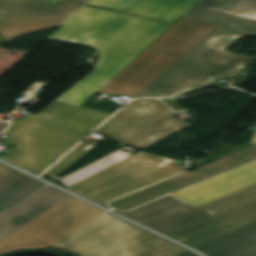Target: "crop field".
Segmentation results:
<instances>
[{
	"label": "crop field",
	"instance_id": "crop-field-1",
	"mask_svg": "<svg viewBox=\"0 0 256 256\" xmlns=\"http://www.w3.org/2000/svg\"><path fill=\"white\" fill-rule=\"evenodd\" d=\"M171 24L85 6L49 36L100 49L94 72L41 111L14 120L0 139L17 145L0 159L43 173L111 114L81 107Z\"/></svg>",
	"mask_w": 256,
	"mask_h": 256
},
{
	"label": "crop field",
	"instance_id": "crop-field-2",
	"mask_svg": "<svg viewBox=\"0 0 256 256\" xmlns=\"http://www.w3.org/2000/svg\"><path fill=\"white\" fill-rule=\"evenodd\" d=\"M23 174L0 192V254L49 246L81 256H173L186 251Z\"/></svg>",
	"mask_w": 256,
	"mask_h": 256
},
{
	"label": "crop field",
	"instance_id": "crop-field-3",
	"mask_svg": "<svg viewBox=\"0 0 256 256\" xmlns=\"http://www.w3.org/2000/svg\"><path fill=\"white\" fill-rule=\"evenodd\" d=\"M184 17L220 25L134 98L175 97L233 77L253 58L227 52L237 37L256 36V0H201Z\"/></svg>",
	"mask_w": 256,
	"mask_h": 256
},
{
	"label": "crop field",
	"instance_id": "crop-field-4",
	"mask_svg": "<svg viewBox=\"0 0 256 256\" xmlns=\"http://www.w3.org/2000/svg\"><path fill=\"white\" fill-rule=\"evenodd\" d=\"M165 160L141 151L67 189L102 204L186 170Z\"/></svg>",
	"mask_w": 256,
	"mask_h": 256
},
{
	"label": "crop field",
	"instance_id": "crop-field-5",
	"mask_svg": "<svg viewBox=\"0 0 256 256\" xmlns=\"http://www.w3.org/2000/svg\"><path fill=\"white\" fill-rule=\"evenodd\" d=\"M157 99L131 101L95 132L143 150L173 132L190 126Z\"/></svg>",
	"mask_w": 256,
	"mask_h": 256
},
{
	"label": "crop field",
	"instance_id": "crop-field-6",
	"mask_svg": "<svg viewBox=\"0 0 256 256\" xmlns=\"http://www.w3.org/2000/svg\"><path fill=\"white\" fill-rule=\"evenodd\" d=\"M197 209L211 216L166 235L195 247L256 221V183Z\"/></svg>",
	"mask_w": 256,
	"mask_h": 256
},
{
	"label": "crop field",
	"instance_id": "crop-field-7",
	"mask_svg": "<svg viewBox=\"0 0 256 256\" xmlns=\"http://www.w3.org/2000/svg\"><path fill=\"white\" fill-rule=\"evenodd\" d=\"M255 159L256 144L221 159L199 166L197 167V171L186 172L179 176L134 192L110 203L109 205L119 210H128Z\"/></svg>",
	"mask_w": 256,
	"mask_h": 256
},
{
	"label": "crop field",
	"instance_id": "crop-field-8",
	"mask_svg": "<svg viewBox=\"0 0 256 256\" xmlns=\"http://www.w3.org/2000/svg\"><path fill=\"white\" fill-rule=\"evenodd\" d=\"M122 215L163 234L209 216L171 195Z\"/></svg>",
	"mask_w": 256,
	"mask_h": 256
},
{
	"label": "crop field",
	"instance_id": "crop-field-9",
	"mask_svg": "<svg viewBox=\"0 0 256 256\" xmlns=\"http://www.w3.org/2000/svg\"><path fill=\"white\" fill-rule=\"evenodd\" d=\"M180 58V56L146 49L100 92L120 93L134 97ZM142 61L146 62L142 63Z\"/></svg>",
	"mask_w": 256,
	"mask_h": 256
},
{
	"label": "crop field",
	"instance_id": "crop-field-10",
	"mask_svg": "<svg viewBox=\"0 0 256 256\" xmlns=\"http://www.w3.org/2000/svg\"><path fill=\"white\" fill-rule=\"evenodd\" d=\"M255 182L256 162H253L172 195L198 207Z\"/></svg>",
	"mask_w": 256,
	"mask_h": 256
},
{
	"label": "crop field",
	"instance_id": "crop-field-11",
	"mask_svg": "<svg viewBox=\"0 0 256 256\" xmlns=\"http://www.w3.org/2000/svg\"><path fill=\"white\" fill-rule=\"evenodd\" d=\"M217 27L182 18L149 48L184 55Z\"/></svg>",
	"mask_w": 256,
	"mask_h": 256
},
{
	"label": "crop field",
	"instance_id": "crop-field-12",
	"mask_svg": "<svg viewBox=\"0 0 256 256\" xmlns=\"http://www.w3.org/2000/svg\"><path fill=\"white\" fill-rule=\"evenodd\" d=\"M82 5L66 0L21 21L0 29V35L5 39L11 38L59 25L76 12Z\"/></svg>",
	"mask_w": 256,
	"mask_h": 256
},
{
	"label": "crop field",
	"instance_id": "crop-field-13",
	"mask_svg": "<svg viewBox=\"0 0 256 256\" xmlns=\"http://www.w3.org/2000/svg\"><path fill=\"white\" fill-rule=\"evenodd\" d=\"M256 243V222L219 236L195 247L210 256H256V245L229 255L228 253Z\"/></svg>",
	"mask_w": 256,
	"mask_h": 256
},
{
	"label": "crop field",
	"instance_id": "crop-field-14",
	"mask_svg": "<svg viewBox=\"0 0 256 256\" xmlns=\"http://www.w3.org/2000/svg\"><path fill=\"white\" fill-rule=\"evenodd\" d=\"M200 0H138L125 13L173 23Z\"/></svg>",
	"mask_w": 256,
	"mask_h": 256
},
{
	"label": "crop field",
	"instance_id": "crop-field-15",
	"mask_svg": "<svg viewBox=\"0 0 256 256\" xmlns=\"http://www.w3.org/2000/svg\"><path fill=\"white\" fill-rule=\"evenodd\" d=\"M50 6L37 0H24L4 5L0 7V20L8 25Z\"/></svg>",
	"mask_w": 256,
	"mask_h": 256
},
{
	"label": "crop field",
	"instance_id": "crop-field-16",
	"mask_svg": "<svg viewBox=\"0 0 256 256\" xmlns=\"http://www.w3.org/2000/svg\"><path fill=\"white\" fill-rule=\"evenodd\" d=\"M130 154L127 153V152H123V151H119V152H116L96 163H94L93 165L61 180V182L66 185L67 187L73 185V184H76L96 173H98L99 171L129 157Z\"/></svg>",
	"mask_w": 256,
	"mask_h": 256
},
{
	"label": "crop field",
	"instance_id": "crop-field-17",
	"mask_svg": "<svg viewBox=\"0 0 256 256\" xmlns=\"http://www.w3.org/2000/svg\"><path fill=\"white\" fill-rule=\"evenodd\" d=\"M87 153L74 149L47 172L57 177Z\"/></svg>",
	"mask_w": 256,
	"mask_h": 256
},
{
	"label": "crop field",
	"instance_id": "crop-field-18",
	"mask_svg": "<svg viewBox=\"0 0 256 256\" xmlns=\"http://www.w3.org/2000/svg\"><path fill=\"white\" fill-rule=\"evenodd\" d=\"M136 0H92L89 5L122 12Z\"/></svg>",
	"mask_w": 256,
	"mask_h": 256
},
{
	"label": "crop field",
	"instance_id": "crop-field-19",
	"mask_svg": "<svg viewBox=\"0 0 256 256\" xmlns=\"http://www.w3.org/2000/svg\"><path fill=\"white\" fill-rule=\"evenodd\" d=\"M22 173L0 164V191L17 179Z\"/></svg>",
	"mask_w": 256,
	"mask_h": 256
},
{
	"label": "crop field",
	"instance_id": "crop-field-20",
	"mask_svg": "<svg viewBox=\"0 0 256 256\" xmlns=\"http://www.w3.org/2000/svg\"><path fill=\"white\" fill-rule=\"evenodd\" d=\"M176 256H198V255H196V254H194V253H192L190 251H186V252L180 253V254H178Z\"/></svg>",
	"mask_w": 256,
	"mask_h": 256
},
{
	"label": "crop field",
	"instance_id": "crop-field-21",
	"mask_svg": "<svg viewBox=\"0 0 256 256\" xmlns=\"http://www.w3.org/2000/svg\"><path fill=\"white\" fill-rule=\"evenodd\" d=\"M7 125H8V123L0 121V133L5 130Z\"/></svg>",
	"mask_w": 256,
	"mask_h": 256
},
{
	"label": "crop field",
	"instance_id": "crop-field-22",
	"mask_svg": "<svg viewBox=\"0 0 256 256\" xmlns=\"http://www.w3.org/2000/svg\"><path fill=\"white\" fill-rule=\"evenodd\" d=\"M15 1H19V0H0V5L12 3V2H15Z\"/></svg>",
	"mask_w": 256,
	"mask_h": 256
},
{
	"label": "crop field",
	"instance_id": "crop-field-23",
	"mask_svg": "<svg viewBox=\"0 0 256 256\" xmlns=\"http://www.w3.org/2000/svg\"><path fill=\"white\" fill-rule=\"evenodd\" d=\"M43 1L55 4V3H58V2L63 1V0H43Z\"/></svg>",
	"mask_w": 256,
	"mask_h": 256
},
{
	"label": "crop field",
	"instance_id": "crop-field-24",
	"mask_svg": "<svg viewBox=\"0 0 256 256\" xmlns=\"http://www.w3.org/2000/svg\"><path fill=\"white\" fill-rule=\"evenodd\" d=\"M73 1L80 2V3L85 4V3H86L87 1H89V0H73Z\"/></svg>",
	"mask_w": 256,
	"mask_h": 256
},
{
	"label": "crop field",
	"instance_id": "crop-field-25",
	"mask_svg": "<svg viewBox=\"0 0 256 256\" xmlns=\"http://www.w3.org/2000/svg\"><path fill=\"white\" fill-rule=\"evenodd\" d=\"M256 143V133H254V136H253V144Z\"/></svg>",
	"mask_w": 256,
	"mask_h": 256
},
{
	"label": "crop field",
	"instance_id": "crop-field-26",
	"mask_svg": "<svg viewBox=\"0 0 256 256\" xmlns=\"http://www.w3.org/2000/svg\"><path fill=\"white\" fill-rule=\"evenodd\" d=\"M173 160H169V159H167L165 162H164V164H167V163H169V162H172ZM163 164V165H164Z\"/></svg>",
	"mask_w": 256,
	"mask_h": 256
},
{
	"label": "crop field",
	"instance_id": "crop-field-27",
	"mask_svg": "<svg viewBox=\"0 0 256 256\" xmlns=\"http://www.w3.org/2000/svg\"><path fill=\"white\" fill-rule=\"evenodd\" d=\"M6 25H4L2 22H0V28L5 27Z\"/></svg>",
	"mask_w": 256,
	"mask_h": 256
}]
</instances>
